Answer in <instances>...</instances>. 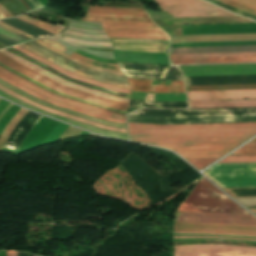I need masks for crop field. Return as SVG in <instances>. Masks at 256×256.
I'll return each instance as SVG.
<instances>
[{
  "mask_svg": "<svg viewBox=\"0 0 256 256\" xmlns=\"http://www.w3.org/2000/svg\"><path fill=\"white\" fill-rule=\"evenodd\" d=\"M128 126L131 140L148 144L244 142L256 134V123Z\"/></svg>",
  "mask_w": 256,
  "mask_h": 256,
  "instance_id": "crop-field-1",
  "label": "crop field"
},
{
  "mask_svg": "<svg viewBox=\"0 0 256 256\" xmlns=\"http://www.w3.org/2000/svg\"><path fill=\"white\" fill-rule=\"evenodd\" d=\"M79 20L101 22L108 37L169 40L168 35L150 21L145 10L90 5L86 18Z\"/></svg>",
  "mask_w": 256,
  "mask_h": 256,
  "instance_id": "crop-field-2",
  "label": "crop field"
},
{
  "mask_svg": "<svg viewBox=\"0 0 256 256\" xmlns=\"http://www.w3.org/2000/svg\"><path fill=\"white\" fill-rule=\"evenodd\" d=\"M177 211L183 212H227L249 214L206 179H201L192 189Z\"/></svg>",
  "mask_w": 256,
  "mask_h": 256,
  "instance_id": "crop-field-3",
  "label": "crop field"
},
{
  "mask_svg": "<svg viewBox=\"0 0 256 256\" xmlns=\"http://www.w3.org/2000/svg\"><path fill=\"white\" fill-rule=\"evenodd\" d=\"M0 63L4 64L5 66L33 79L34 81L63 94L72 96V97H76V98H80L83 100H87L96 104H100L109 108H113V109H117V110H123L126 111L128 108V103L125 102H120V101H115V100H111V99H107L104 97H100V96H96V95H92L83 91H79L70 87H66L44 75H42L41 73L30 69L18 62H16L15 60L3 55L2 53H0Z\"/></svg>",
  "mask_w": 256,
  "mask_h": 256,
  "instance_id": "crop-field-4",
  "label": "crop field"
},
{
  "mask_svg": "<svg viewBox=\"0 0 256 256\" xmlns=\"http://www.w3.org/2000/svg\"><path fill=\"white\" fill-rule=\"evenodd\" d=\"M0 78L13 84L14 86L34 95L35 97L50 103V104H54L60 107H64L67 109H71L77 112H81L87 115H91V116H95L98 118H102L105 119L107 121H111V122H116V123H120V124H125V117L124 116H120V115H116V114H111L108 113L106 111H102L99 109H95L92 107H88L79 103H75L63 98H59L56 96H53L51 94H48L36 87H34L33 85L11 75L10 73L0 69Z\"/></svg>",
  "mask_w": 256,
  "mask_h": 256,
  "instance_id": "crop-field-5",
  "label": "crop field"
},
{
  "mask_svg": "<svg viewBox=\"0 0 256 256\" xmlns=\"http://www.w3.org/2000/svg\"><path fill=\"white\" fill-rule=\"evenodd\" d=\"M214 165L205 172L220 188L256 187V163ZM217 166V167H215ZM215 167V168H214ZM214 168V169H213ZM213 169V170H211ZM211 170V171H210ZM210 171V172H208ZM213 176L211 177L208 173Z\"/></svg>",
  "mask_w": 256,
  "mask_h": 256,
  "instance_id": "crop-field-6",
  "label": "crop field"
},
{
  "mask_svg": "<svg viewBox=\"0 0 256 256\" xmlns=\"http://www.w3.org/2000/svg\"><path fill=\"white\" fill-rule=\"evenodd\" d=\"M174 17L235 16L200 0H155ZM238 16V15H237Z\"/></svg>",
  "mask_w": 256,
  "mask_h": 256,
  "instance_id": "crop-field-7",
  "label": "crop field"
},
{
  "mask_svg": "<svg viewBox=\"0 0 256 256\" xmlns=\"http://www.w3.org/2000/svg\"><path fill=\"white\" fill-rule=\"evenodd\" d=\"M242 143L193 144V145H156L171 149L185 159L220 158Z\"/></svg>",
  "mask_w": 256,
  "mask_h": 256,
  "instance_id": "crop-field-8",
  "label": "crop field"
},
{
  "mask_svg": "<svg viewBox=\"0 0 256 256\" xmlns=\"http://www.w3.org/2000/svg\"><path fill=\"white\" fill-rule=\"evenodd\" d=\"M175 220L190 222L256 225V218L254 216L242 214L177 212Z\"/></svg>",
  "mask_w": 256,
  "mask_h": 256,
  "instance_id": "crop-field-9",
  "label": "crop field"
},
{
  "mask_svg": "<svg viewBox=\"0 0 256 256\" xmlns=\"http://www.w3.org/2000/svg\"><path fill=\"white\" fill-rule=\"evenodd\" d=\"M245 56H256V53L170 55L171 59L215 58V57H245ZM171 62H172L173 65L217 64V63H247V62H256V57L216 58V59H186V60H171Z\"/></svg>",
  "mask_w": 256,
  "mask_h": 256,
  "instance_id": "crop-field-10",
  "label": "crop field"
},
{
  "mask_svg": "<svg viewBox=\"0 0 256 256\" xmlns=\"http://www.w3.org/2000/svg\"><path fill=\"white\" fill-rule=\"evenodd\" d=\"M173 231L256 235V226L174 222Z\"/></svg>",
  "mask_w": 256,
  "mask_h": 256,
  "instance_id": "crop-field-11",
  "label": "crop field"
},
{
  "mask_svg": "<svg viewBox=\"0 0 256 256\" xmlns=\"http://www.w3.org/2000/svg\"><path fill=\"white\" fill-rule=\"evenodd\" d=\"M26 45L38 50V51H41L43 52L44 54H47L49 56H51L52 58L70 66L71 68L77 70V71H80V72H83V73H86V74H89V75H92V76H96V77H102V78H106V79H109V80H113V81H116V82H120V83H126L128 84V82L126 81L125 77L124 76H120V75H114V74H109V73H105V72H101V71H98V70H95V69H92V68H87V67H83L43 46H41L40 44H38L37 42L35 41H32V42H29V43H25Z\"/></svg>",
  "mask_w": 256,
  "mask_h": 256,
  "instance_id": "crop-field-12",
  "label": "crop field"
},
{
  "mask_svg": "<svg viewBox=\"0 0 256 256\" xmlns=\"http://www.w3.org/2000/svg\"><path fill=\"white\" fill-rule=\"evenodd\" d=\"M127 80L131 91L185 93L183 81Z\"/></svg>",
  "mask_w": 256,
  "mask_h": 256,
  "instance_id": "crop-field-13",
  "label": "crop field"
},
{
  "mask_svg": "<svg viewBox=\"0 0 256 256\" xmlns=\"http://www.w3.org/2000/svg\"><path fill=\"white\" fill-rule=\"evenodd\" d=\"M189 100L256 98V90L188 92Z\"/></svg>",
  "mask_w": 256,
  "mask_h": 256,
  "instance_id": "crop-field-14",
  "label": "crop field"
},
{
  "mask_svg": "<svg viewBox=\"0 0 256 256\" xmlns=\"http://www.w3.org/2000/svg\"><path fill=\"white\" fill-rule=\"evenodd\" d=\"M174 256H256V252L226 249L174 250Z\"/></svg>",
  "mask_w": 256,
  "mask_h": 256,
  "instance_id": "crop-field-15",
  "label": "crop field"
},
{
  "mask_svg": "<svg viewBox=\"0 0 256 256\" xmlns=\"http://www.w3.org/2000/svg\"><path fill=\"white\" fill-rule=\"evenodd\" d=\"M0 52H2L3 54H5V55H7V56H9V57H11V58H13V59L23 63V64H25V65L35 69V70H37V71H39V72H41V73H43V74H45L47 76H49L50 78H52V79H54V80H56V81H58V82H60V83H62L64 85H66V86H70V87H73V88H77V89H81V90H84V91L92 92V93H95V94H98V95H101V96H104V97H108V98H111V99L129 102V99L119 98V97H116V96H113V95H110V94H106V93H103V92H100V91H96V90H93V89H90V88H86V87H83V86H80V85H76V84L67 82V81H65V80H63V79H61V78H59V77H57V76H55V75L45 71V70H43V69H41V68H39V67L29 63V62H27V61L17 57V56H15V55H13V54L5 51V50H1Z\"/></svg>",
  "mask_w": 256,
  "mask_h": 256,
  "instance_id": "crop-field-16",
  "label": "crop field"
},
{
  "mask_svg": "<svg viewBox=\"0 0 256 256\" xmlns=\"http://www.w3.org/2000/svg\"><path fill=\"white\" fill-rule=\"evenodd\" d=\"M12 48H14V49H16V50H19V51L22 52L23 54H25V55H27V56H29V57H31V58L37 60V61H40V62H42V63H44V64H46V65H48V66H50V67H52V68H54V69H56L57 71H59V72L65 74V75H67V76H69V77H71V78H74V79H76V80H78V81L85 82V83H89V84H93V85L100 86V87H104V88H107V89H110V90H114V91H117V92H122V93H128V94H130V90H125V89L116 88V87H113V86H110V85H106V84H103V83H100V82H96V81H93V80H90V79H86V78L79 77V76H77V75H75V74H72V73H70V72H68V71H66V70H64V69H62V68H60V67H58V66H56V65H54V64H52V63H50V62H48V61H46V60L40 58V57L37 56V55H35V54H33V53H31V52H29V51H27V50H24V49L18 47V46L12 47Z\"/></svg>",
  "mask_w": 256,
  "mask_h": 256,
  "instance_id": "crop-field-17",
  "label": "crop field"
},
{
  "mask_svg": "<svg viewBox=\"0 0 256 256\" xmlns=\"http://www.w3.org/2000/svg\"><path fill=\"white\" fill-rule=\"evenodd\" d=\"M245 103H256V100L189 102V106H190V109L256 107V104H245ZM211 104H245V105H211ZM193 105H211V106H193Z\"/></svg>",
  "mask_w": 256,
  "mask_h": 256,
  "instance_id": "crop-field-18",
  "label": "crop field"
},
{
  "mask_svg": "<svg viewBox=\"0 0 256 256\" xmlns=\"http://www.w3.org/2000/svg\"><path fill=\"white\" fill-rule=\"evenodd\" d=\"M3 22L19 29L22 30L28 34H30L31 36L35 37V38H42V37H49V36H53L33 25L27 24L25 22H22L16 18L13 19H8V20H2Z\"/></svg>",
  "mask_w": 256,
  "mask_h": 256,
  "instance_id": "crop-field-19",
  "label": "crop field"
},
{
  "mask_svg": "<svg viewBox=\"0 0 256 256\" xmlns=\"http://www.w3.org/2000/svg\"><path fill=\"white\" fill-rule=\"evenodd\" d=\"M21 46L25 47L26 49H28V50H30V51L36 53V54L39 53L38 51H36V50H34V49H32V48H30V47L24 45V44H21ZM40 54H42V53H40ZM40 54H38V55H40ZM43 55H44V54H43ZM43 55H40V56H42V57L46 58L47 60L51 61V58L45 57L46 55H45V56H43ZM52 60L55 61L57 65H59V66H61V67H63V68L66 67V68H68V69L74 71L73 69H71V68H69V67H67V66H65V65H63V64H61L60 62H58V61H56V60H54V59H52ZM51 62H52V61H51ZM68 71H69V70H68ZM70 72H71V71H70ZM72 73H73V72H72ZM75 74H77V75H79V76H83V77H87V78L93 79L92 76H89V75H86V74H83V73H80V72H77V71H75ZM94 80L102 81L103 79L94 77ZM103 82H105L106 84H110V85L116 86V87H121V88H125V89H130V88H129V85H126V84H120V83H116V82H112V81H108V80H103Z\"/></svg>",
  "mask_w": 256,
  "mask_h": 256,
  "instance_id": "crop-field-20",
  "label": "crop field"
},
{
  "mask_svg": "<svg viewBox=\"0 0 256 256\" xmlns=\"http://www.w3.org/2000/svg\"><path fill=\"white\" fill-rule=\"evenodd\" d=\"M256 15V0H218Z\"/></svg>",
  "mask_w": 256,
  "mask_h": 256,
  "instance_id": "crop-field-21",
  "label": "crop field"
},
{
  "mask_svg": "<svg viewBox=\"0 0 256 256\" xmlns=\"http://www.w3.org/2000/svg\"><path fill=\"white\" fill-rule=\"evenodd\" d=\"M16 18H18V19H20L22 21H25L27 23L33 24L35 26H38V27H40V28H42V29H44V30L54 34V35L59 34V32L62 30V29H60V28H58V27H56L54 25H51V24L46 23V22H43L41 20L29 18V17H27L25 15H22V16H19V17H16Z\"/></svg>",
  "mask_w": 256,
  "mask_h": 256,
  "instance_id": "crop-field-22",
  "label": "crop field"
},
{
  "mask_svg": "<svg viewBox=\"0 0 256 256\" xmlns=\"http://www.w3.org/2000/svg\"><path fill=\"white\" fill-rule=\"evenodd\" d=\"M0 37L5 38L15 44L21 43L27 40H31L5 26L0 25Z\"/></svg>",
  "mask_w": 256,
  "mask_h": 256,
  "instance_id": "crop-field-23",
  "label": "crop field"
},
{
  "mask_svg": "<svg viewBox=\"0 0 256 256\" xmlns=\"http://www.w3.org/2000/svg\"><path fill=\"white\" fill-rule=\"evenodd\" d=\"M13 16L28 12L25 6L19 0H7L0 3Z\"/></svg>",
  "mask_w": 256,
  "mask_h": 256,
  "instance_id": "crop-field-24",
  "label": "crop field"
},
{
  "mask_svg": "<svg viewBox=\"0 0 256 256\" xmlns=\"http://www.w3.org/2000/svg\"><path fill=\"white\" fill-rule=\"evenodd\" d=\"M71 57H73V58H75V59H77V60H79L83 63H87L89 65L95 66L97 68L108 69V70L120 72L117 65H110V64H107V63L92 61V60L86 59V58H84V57H82V56H80L76 53H74Z\"/></svg>",
  "mask_w": 256,
  "mask_h": 256,
  "instance_id": "crop-field-25",
  "label": "crop field"
},
{
  "mask_svg": "<svg viewBox=\"0 0 256 256\" xmlns=\"http://www.w3.org/2000/svg\"><path fill=\"white\" fill-rule=\"evenodd\" d=\"M191 248H226V249H240V250H253V247H241V246H230V245H195V246H174V249H191Z\"/></svg>",
  "mask_w": 256,
  "mask_h": 256,
  "instance_id": "crop-field-26",
  "label": "crop field"
},
{
  "mask_svg": "<svg viewBox=\"0 0 256 256\" xmlns=\"http://www.w3.org/2000/svg\"><path fill=\"white\" fill-rule=\"evenodd\" d=\"M256 162V155L254 156H228L219 163H244Z\"/></svg>",
  "mask_w": 256,
  "mask_h": 256,
  "instance_id": "crop-field-27",
  "label": "crop field"
},
{
  "mask_svg": "<svg viewBox=\"0 0 256 256\" xmlns=\"http://www.w3.org/2000/svg\"><path fill=\"white\" fill-rule=\"evenodd\" d=\"M235 87H256V85L187 87V89H188V91H203V90H190V89H205V88H235ZM235 89H256V88H235ZM235 89H205V90H235Z\"/></svg>",
  "mask_w": 256,
  "mask_h": 256,
  "instance_id": "crop-field-28",
  "label": "crop field"
},
{
  "mask_svg": "<svg viewBox=\"0 0 256 256\" xmlns=\"http://www.w3.org/2000/svg\"><path fill=\"white\" fill-rule=\"evenodd\" d=\"M216 160L217 159H203V160H187V161L190 162L198 170H202Z\"/></svg>",
  "mask_w": 256,
  "mask_h": 256,
  "instance_id": "crop-field-29",
  "label": "crop field"
},
{
  "mask_svg": "<svg viewBox=\"0 0 256 256\" xmlns=\"http://www.w3.org/2000/svg\"><path fill=\"white\" fill-rule=\"evenodd\" d=\"M256 153V144H246L232 154H254Z\"/></svg>",
  "mask_w": 256,
  "mask_h": 256,
  "instance_id": "crop-field-30",
  "label": "crop field"
},
{
  "mask_svg": "<svg viewBox=\"0 0 256 256\" xmlns=\"http://www.w3.org/2000/svg\"><path fill=\"white\" fill-rule=\"evenodd\" d=\"M0 68H2V67H0ZM2 69H4V68H2ZM4 70H6V69H4ZM6 71H8V70H6ZM8 72H10V71H8ZM10 73L13 74V75H15V76H17V77H19V78H21V79H23L22 77H20V76L14 74V73H12V72H10ZM23 80H25V79H23ZM25 81H27V80H25ZM27 82H29V81H27ZM29 83H31V82H29ZM31 84H33V83H31ZM33 85H35V84H33ZM35 86H36V85H35ZM37 87H38V86H37ZM39 88H40V87H39ZM41 89H43V88H41ZM43 90H45V89H43ZM45 91H47V90H45ZM47 92H49V91H47ZM49 93H51V94H53V95H56V96H60V95L54 94V93H52V92H49ZM60 97H63V96H60ZM63 98H65V97H63ZM66 99H68V98H66ZM69 100H71V99H69ZM72 101H75V100H72ZM76 102H79V101H76ZM79 103H82V102H79ZM82 104H85V105H88V106H92V107H95V108H99V109H102V110H106V111L111 112V113H115V112H112V111H110V110H107V109H104V108H100V107H97V106H94V105H90V104H86V103H82ZM116 114H119V113H116ZM120 115H123V114H120ZM124 116H125V115H124Z\"/></svg>",
  "mask_w": 256,
  "mask_h": 256,
  "instance_id": "crop-field-31",
  "label": "crop field"
},
{
  "mask_svg": "<svg viewBox=\"0 0 256 256\" xmlns=\"http://www.w3.org/2000/svg\"><path fill=\"white\" fill-rule=\"evenodd\" d=\"M36 41H37L38 43H40V44H42V45H44V46H46V47L52 49V50H54V51H56V52H58V53L64 55V56L68 57L69 59H71V60H73V61H75V62H77V63H79V64H81V65H83V66H88V65H86V64H83V63H81V62H79V61H77V60H75V59H73V58H71V57H69V56H67V55H65V54H63V53H61V52H59V51L53 49V48H51V47H49L48 45H46V44H44V43H42V42H40V41H38V40H36ZM88 67H91V66H88ZM92 68H94V67H92ZM95 69H97V68H95ZM98 70H101V69H98ZM101 71H105V72H109V73H115V74H121V75H122V73H117V72H112V71H106V70H101Z\"/></svg>",
  "mask_w": 256,
  "mask_h": 256,
  "instance_id": "crop-field-32",
  "label": "crop field"
},
{
  "mask_svg": "<svg viewBox=\"0 0 256 256\" xmlns=\"http://www.w3.org/2000/svg\"><path fill=\"white\" fill-rule=\"evenodd\" d=\"M40 41L48 44L49 46H51V47H53V48H55V49H57V50H59L61 52H64V50H65L64 46H62V45H60V44H58V43H56L54 41H50V40H47V39H42Z\"/></svg>",
  "mask_w": 256,
  "mask_h": 256,
  "instance_id": "crop-field-33",
  "label": "crop field"
},
{
  "mask_svg": "<svg viewBox=\"0 0 256 256\" xmlns=\"http://www.w3.org/2000/svg\"><path fill=\"white\" fill-rule=\"evenodd\" d=\"M26 3L31 7L32 10L42 7L38 0H25Z\"/></svg>",
  "mask_w": 256,
  "mask_h": 256,
  "instance_id": "crop-field-34",
  "label": "crop field"
},
{
  "mask_svg": "<svg viewBox=\"0 0 256 256\" xmlns=\"http://www.w3.org/2000/svg\"><path fill=\"white\" fill-rule=\"evenodd\" d=\"M174 238H222V237H174ZM223 239H235V238H223ZM238 240L256 241V239H238Z\"/></svg>",
  "mask_w": 256,
  "mask_h": 256,
  "instance_id": "crop-field-35",
  "label": "crop field"
},
{
  "mask_svg": "<svg viewBox=\"0 0 256 256\" xmlns=\"http://www.w3.org/2000/svg\"><path fill=\"white\" fill-rule=\"evenodd\" d=\"M0 14L3 15L5 18L12 17L3 7L0 6Z\"/></svg>",
  "mask_w": 256,
  "mask_h": 256,
  "instance_id": "crop-field-36",
  "label": "crop field"
},
{
  "mask_svg": "<svg viewBox=\"0 0 256 256\" xmlns=\"http://www.w3.org/2000/svg\"><path fill=\"white\" fill-rule=\"evenodd\" d=\"M173 233H185V234H208V233H190V232H173ZM226 235V234H223ZM233 236H252V235H233Z\"/></svg>",
  "mask_w": 256,
  "mask_h": 256,
  "instance_id": "crop-field-37",
  "label": "crop field"
},
{
  "mask_svg": "<svg viewBox=\"0 0 256 256\" xmlns=\"http://www.w3.org/2000/svg\"><path fill=\"white\" fill-rule=\"evenodd\" d=\"M0 23L3 24V25H5V26H7V27H9V28H11V29H13V30H15V31H17V32H19V33H21V34H24V35H26V36H28V37H30V38H32V39H35V38L29 36L28 34L22 32V31H19V30L15 29V28H13V27H11V26H8V25L2 23V22H0Z\"/></svg>",
  "mask_w": 256,
  "mask_h": 256,
  "instance_id": "crop-field-38",
  "label": "crop field"
},
{
  "mask_svg": "<svg viewBox=\"0 0 256 256\" xmlns=\"http://www.w3.org/2000/svg\"><path fill=\"white\" fill-rule=\"evenodd\" d=\"M0 42L6 44V45H8V46L14 45V44H12V43H10V42H8V41L2 39V38H0Z\"/></svg>",
  "mask_w": 256,
  "mask_h": 256,
  "instance_id": "crop-field-39",
  "label": "crop field"
},
{
  "mask_svg": "<svg viewBox=\"0 0 256 256\" xmlns=\"http://www.w3.org/2000/svg\"><path fill=\"white\" fill-rule=\"evenodd\" d=\"M7 256H17V252H15V251H7Z\"/></svg>",
  "mask_w": 256,
  "mask_h": 256,
  "instance_id": "crop-field-40",
  "label": "crop field"
},
{
  "mask_svg": "<svg viewBox=\"0 0 256 256\" xmlns=\"http://www.w3.org/2000/svg\"><path fill=\"white\" fill-rule=\"evenodd\" d=\"M252 189H256V188H252ZM225 190L229 195H231L232 197H236L235 195H233L231 192H229L227 189H223Z\"/></svg>",
  "mask_w": 256,
  "mask_h": 256,
  "instance_id": "crop-field-41",
  "label": "crop field"
},
{
  "mask_svg": "<svg viewBox=\"0 0 256 256\" xmlns=\"http://www.w3.org/2000/svg\"><path fill=\"white\" fill-rule=\"evenodd\" d=\"M249 143H256V138H254L252 141H250Z\"/></svg>",
  "mask_w": 256,
  "mask_h": 256,
  "instance_id": "crop-field-42",
  "label": "crop field"
},
{
  "mask_svg": "<svg viewBox=\"0 0 256 256\" xmlns=\"http://www.w3.org/2000/svg\"><path fill=\"white\" fill-rule=\"evenodd\" d=\"M249 210L256 212V209H254V208H249Z\"/></svg>",
  "mask_w": 256,
  "mask_h": 256,
  "instance_id": "crop-field-43",
  "label": "crop field"
},
{
  "mask_svg": "<svg viewBox=\"0 0 256 256\" xmlns=\"http://www.w3.org/2000/svg\"><path fill=\"white\" fill-rule=\"evenodd\" d=\"M73 81V80H72ZM75 82V81H74ZM77 83V82H76ZM80 84V83H79ZM84 85V84H83ZM88 86V85H87ZM92 87V86H91ZM96 88V87H95ZM99 89V88H98ZM102 90V89H101ZM105 91V90H104ZM130 95H127V98H129Z\"/></svg>",
  "mask_w": 256,
  "mask_h": 256,
  "instance_id": "crop-field-44",
  "label": "crop field"
},
{
  "mask_svg": "<svg viewBox=\"0 0 256 256\" xmlns=\"http://www.w3.org/2000/svg\"><path fill=\"white\" fill-rule=\"evenodd\" d=\"M4 18L3 16L0 15V19Z\"/></svg>",
  "mask_w": 256,
  "mask_h": 256,
  "instance_id": "crop-field-45",
  "label": "crop field"
},
{
  "mask_svg": "<svg viewBox=\"0 0 256 256\" xmlns=\"http://www.w3.org/2000/svg\"><path fill=\"white\" fill-rule=\"evenodd\" d=\"M40 256V255H39Z\"/></svg>",
  "mask_w": 256,
  "mask_h": 256,
  "instance_id": "crop-field-46",
  "label": "crop field"
}]
</instances>
